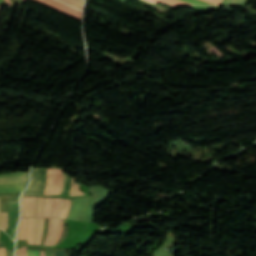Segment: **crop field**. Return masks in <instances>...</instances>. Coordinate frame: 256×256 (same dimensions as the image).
Segmentation results:
<instances>
[{
  "label": "crop field",
  "instance_id": "34",
  "mask_svg": "<svg viewBox=\"0 0 256 256\" xmlns=\"http://www.w3.org/2000/svg\"><path fill=\"white\" fill-rule=\"evenodd\" d=\"M33 256H39V251L33 250Z\"/></svg>",
  "mask_w": 256,
  "mask_h": 256
},
{
  "label": "crop field",
  "instance_id": "4",
  "mask_svg": "<svg viewBox=\"0 0 256 256\" xmlns=\"http://www.w3.org/2000/svg\"><path fill=\"white\" fill-rule=\"evenodd\" d=\"M28 173L16 172L0 175V182L27 181Z\"/></svg>",
  "mask_w": 256,
  "mask_h": 256
},
{
  "label": "crop field",
  "instance_id": "21",
  "mask_svg": "<svg viewBox=\"0 0 256 256\" xmlns=\"http://www.w3.org/2000/svg\"><path fill=\"white\" fill-rule=\"evenodd\" d=\"M61 229H62V220L59 219V223H58V233H57V235H56V237H55V240H54V242H53L52 245H55L56 241H57L58 238L60 237V235H61Z\"/></svg>",
  "mask_w": 256,
  "mask_h": 256
},
{
  "label": "crop field",
  "instance_id": "35",
  "mask_svg": "<svg viewBox=\"0 0 256 256\" xmlns=\"http://www.w3.org/2000/svg\"><path fill=\"white\" fill-rule=\"evenodd\" d=\"M44 201H45V199H43V201H42V210H41V215H40V217H42V214H43Z\"/></svg>",
  "mask_w": 256,
  "mask_h": 256
},
{
  "label": "crop field",
  "instance_id": "7",
  "mask_svg": "<svg viewBox=\"0 0 256 256\" xmlns=\"http://www.w3.org/2000/svg\"><path fill=\"white\" fill-rule=\"evenodd\" d=\"M46 182V169L40 168L38 186L35 194L43 195Z\"/></svg>",
  "mask_w": 256,
  "mask_h": 256
},
{
  "label": "crop field",
  "instance_id": "24",
  "mask_svg": "<svg viewBox=\"0 0 256 256\" xmlns=\"http://www.w3.org/2000/svg\"><path fill=\"white\" fill-rule=\"evenodd\" d=\"M38 218H34V244H36Z\"/></svg>",
  "mask_w": 256,
  "mask_h": 256
},
{
  "label": "crop field",
  "instance_id": "8",
  "mask_svg": "<svg viewBox=\"0 0 256 256\" xmlns=\"http://www.w3.org/2000/svg\"><path fill=\"white\" fill-rule=\"evenodd\" d=\"M17 238L27 239V218L21 219Z\"/></svg>",
  "mask_w": 256,
  "mask_h": 256
},
{
  "label": "crop field",
  "instance_id": "18",
  "mask_svg": "<svg viewBox=\"0 0 256 256\" xmlns=\"http://www.w3.org/2000/svg\"><path fill=\"white\" fill-rule=\"evenodd\" d=\"M52 224H53V219H50L49 221V227H48V232H47V236H46V240L44 244H47L50 237H51V233H52Z\"/></svg>",
  "mask_w": 256,
  "mask_h": 256
},
{
  "label": "crop field",
  "instance_id": "26",
  "mask_svg": "<svg viewBox=\"0 0 256 256\" xmlns=\"http://www.w3.org/2000/svg\"><path fill=\"white\" fill-rule=\"evenodd\" d=\"M184 1H187V2H190V3H193V4H205V5H211V4H208V3L203 2V1H200V0H184Z\"/></svg>",
  "mask_w": 256,
  "mask_h": 256
},
{
  "label": "crop field",
  "instance_id": "15",
  "mask_svg": "<svg viewBox=\"0 0 256 256\" xmlns=\"http://www.w3.org/2000/svg\"><path fill=\"white\" fill-rule=\"evenodd\" d=\"M154 3H160V2H165L173 5H180V4H190L181 0H149Z\"/></svg>",
  "mask_w": 256,
  "mask_h": 256
},
{
  "label": "crop field",
  "instance_id": "28",
  "mask_svg": "<svg viewBox=\"0 0 256 256\" xmlns=\"http://www.w3.org/2000/svg\"><path fill=\"white\" fill-rule=\"evenodd\" d=\"M204 1L215 4V5H219L221 0H204Z\"/></svg>",
  "mask_w": 256,
  "mask_h": 256
},
{
  "label": "crop field",
  "instance_id": "14",
  "mask_svg": "<svg viewBox=\"0 0 256 256\" xmlns=\"http://www.w3.org/2000/svg\"><path fill=\"white\" fill-rule=\"evenodd\" d=\"M81 192L79 190V184L74 183V178L72 177L70 196H75V195L83 194Z\"/></svg>",
  "mask_w": 256,
  "mask_h": 256
},
{
  "label": "crop field",
  "instance_id": "9",
  "mask_svg": "<svg viewBox=\"0 0 256 256\" xmlns=\"http://www.w3.org/2000/svg\"><path fill=\"white\" fill-rule=\"evenodd\" d=\"M37 176H38V168H33V170H32V181H31V184L28 187L26 193L34 194L36 183H37Z\"/></svg>",
  "mask_w": 256,
  "mask_h": 256
},
{
  "label": "crop field",
  "instance_id": "30",
  "mask_svg": "<svg viewBox=\"0 0 256 256\" xmlns=\"http://www.w3.org/2000/svg\"><path fill=\"white\" fill-rule=\"evenodd\" d=\"M0 256H5V248H0Z\"/></svg>",
  "mask_w": 256,
  "mask_h": 256
},
{
  "label": "crop field",
  "instance_id": "22",
  "mask_svg": "<svg viewBox=\"0 0 256 256\" xmlns=\"http://www.w3.org/2000/svg\"><path fill=\"white\" fill-rule=\"evenodd\" d=\"M58 207H59V199H55V202H54V209H53V215H52V217H54V218L57 217Z\"/></svg>",
  "mask_w": 256,
  "mask_h": 256
},
{
  "label": "crop field",
  "instance_id": "32",
  "mask_svg": "<svg viewBox=\"0 0 256 256\" xmlns=\"http://www.w3.org/2000/svg\"><path fill=\"white\" fill-rule=\"evenodd\" d=\"M231 2V0H224L223 4L222 5H229Z\"/></svg>",
  "mask_w": 256,
  "mask_h": 256
},
{
  "label": "crop field",
  "instance_id": "31",
  "mask_svg": "<svg viewBox=\"0 0 256 256\" xmlns=\"http://www.w3.org/2000/svg\"><path fill=\"white\" fill-rule=\"evenodd\" d=\"M38 202H39V198H37V203H36V208H35V214H34V217H36V214H37Z\"/></svg>",
  "mask_w": 256,
  "mask_h": 256
},
{
  "label": "crop field",
  "instance_id": "36",
  "mask_svg": "<svg viewBox=\"0 0 256 256\" xmlns=\"http://www.w3.org/2000/svg\"><path fill=\"white\" fill-rule=\"evenodd\" d=\"M61 204H62V199H60V207H59V211H58V217H59V214H60V211H61Z\"/></svg>",
  "mask_w": 256,
  "mask_h": 256
},
{
  "label": "crop field",
  "instance_id": "37",
  "mask_svg": "<svg viewBox=\"0 0 256 256\" xmlns=\"http://www.w3.org/2000/svg\"><path fill=\"white\" fill-rule=\"evenodd\" d=\"M27 256H32V250H27Z\"/></svg>",
  "mask_w": 256,
  "mask_h": 256
},
{
  "label": "crop field",
  "instance_id": "29",
  "mask_svg": "<svg viewBox=\"0 0 256 256\" xmlns=\"http://www.w3.org/2000/svg\"><path fill=\"white\" fill-rule=\"evenodd\" d=\"M26 247L21 249V256H26Z\"/></svg>",
  "mask_w": 256,
  "mask_h": 256
},
{
  "label": "crop field",
  "instance_id": "38",
  "mask_svg": "<svg viewBox=\"0 0 256 256\" xmlns=\"http://www.w3.org/2000/svg\"><path fill=\"white\" fill-rule=\"evenodd\" d=\"M16 256H20V249L16 250Z\"/></svg>",
  "mask_w": 256,
  "mask_h": 256
},
{
  "label": "crop field",
  "instance_id": "20",
  "mask_svg": "<svg viewBox=\"0 0 256 256\" xmlns=\"http://www.w3.org/2000/svg\"><path fill=\"white\" fill-rule=\"evenodd\" d=\"M49 219L44 220V226H43V236H42V244L44 243L46 232H47V226H48Z\"/></svg>",
  "mask_w": 256,
  "mask_h": 256
},
{
  "label": "crop field",
  "instance_id": "27",
  "mask_svg": "<svg viewBox=\"0 0 256 256\" xmlns=\"http://www.w3.org/2000/svg\"><path fill=\"white\" fill-rule=\"evenodd\" d=\"M245 0H233L231 4L243 5Z\"/></svg>",
  "mask_w": 256,
  "mask_h": 256
},
{
  "label": "crop field",
  "instance_id": "1",
  "mask_svg": "<svg viewBox=\"0 0 256 256\" xmlns=\"http://www.w3.org/2000/svg\"><path fill=\"white\" fill-rule=\"evenodd\" d=\"M62 187V170L48 169L47 186L44 195L60 194Z\"/></svg>",
  "mask_w": 256,
  "mask_h": 256
},
{
  "label": "crop field",
  "instance_id": "2",
  "mask_svg": "<svg viewBox=\"0 0 256 256\" xmlns=\"http://www.w3.org/2000/svg\"><path fill=\"white\" fill-rule=\"evenodd\" d=\"M81 21L82 12L56 0H33Z\"/></svg>",
  "mask_w": 256,
  "mask_h": 256
},
{
  "label": "crop field",
  "instance_id": "16",
  "mask_svg": "<svg viewBox=\"0 0 256 256\" xmlns=\"http://www.w3.org/2000/svg\"><path fill=\"white\" fill-rule=\"evenodd\" d=\"M32 227H33V218H29V224H28V243L29 244H33Z\"/></svg>",
  "mask_w": 256,
  "mask_h": 256
},
{
  "label": "crop field",
  "instance_id": "25",
  "mask_svg": "<svg viewBox=\"0 0 256 256\" xmlns=\"http://www.w3.org/2000/svg\"><path fill=\"white\" fill-rule=\"evenodd\" d=\"M6 5L20 4L23 0H4Z\"/></svg>",
  "mask_w": 256,
  "mask_h": 256
},
{
  "label": "crop field",
  "instance_id": "17",
  "mask_svg": "<svg viewBox=\"0 0 256 256\" xmlns=\"http://www.w3.org/2000/svg\"><path fill=\"white\" fill-rule=\"evenodd\" d=\"M8 213L1 212L0 228L5 230L7 228Z\"/></svg>",
  "mask_w": 256,
  "mask_h": 256
},
{
  "label": "crop field",
  "instance_id": "33",
  "mask_svg": "<svg viewBox=\"0 0 256 256\" xmlns=\"http://www.w3.org/2000/svg\"><path fill=\"white\" fill-rule=\"evenodd\" d=\"M41 201H42V198H40V206H39V209H38L37 217H39V214H40V210H41Z\"/></svg>",
  "mask_w": 256,
  "mask_h": 256
},
{
  "label": "crop field",
  "instance_id": "11",
  "mask_svg": "<svg viewBox=\"0 0 256 256\" xmlns=\"http://www.w3.org/2000/svg\"><path fill=\"white\" fill-rule=\"evenodd\" d=\"M69 192H70V177L64 174L63 187H62L61 194L69 195Z\"/></svg>",
  "mask_w": 256,
  "mask_h": 256
},
{
  "label": "crop field",
  "instance_id": "13",
  "mask_svg": "<svg viewBox=\"0 0 256 256\" xmlns=\"http://www.w3.org/2000/svg\"><path fill=\"white\" fill-rule=\"evenodd\" d=\"M80 10L83 8V0H60Z\"/></svg>",
  "mask_w": 256,
  "mask_h": 256
},
{
  "label": "crop field",
  "instance_id": "23",
  "mask_svg": "<svg viewBox=\"0 0 256 256\" xmlns=\"http://www.w3.org/2000/svg\"><path fill=\"white\" fill-rule=\"evenodd\" d=\"M57 223H58V219H55V222H54V228H53V233H52V237L50 239V242H49V245H51L55 235H56V232H57Z\"/></svg>",
  "mask_w": 256,
  "mask_h": 256
},
{
  "label": "crop field",
  "instance_id": "39",
  "mask_svg": "<svg viewBox=\"0 0 256 256\" xmlns=\"http://www.w3.org/2000/svg\"><path fill=\"white\" fill-rule=\"evenodd\" d=\"M40 256H45V251H40Z\"/></svg>",
  "mask_w": 256,
  "mask_h": 256
},
{
  "label": "crop field",
  "instance_id": "19",
  "mask_svg": "<svg viewBox=\"0 0 256 256\" xmlns=\"http://www.w3.org/2000/svg\"><path fill=\"white\" fill-rule=\"evenodd\" d=\"M43 220L44 218H39L38 244L41 243Z\"/></svg>",
  "mask_w": 256,
  "mask_h": 256
},
{
  "label": "crop field",
  "instance_id": "6",
  "mask_svg": "<svg viewBox=\"0 0 256 256\" xmlns=\"http://www.w3.org/2000/svg\"><path fill=\"white\" fill-rule=\"evenodd\" d=\"M26 182L0 184V192H21Z\"/></svg>",
  "mask_w": 256,
  "mask_h": 256
},
{
  "label": "crop field",
  "instance_id": "12",
  "mask_svg": "<svg viewBox=\"0 0 256 256\" xmlns=\"http://www.w3.org/2000/svg\"><path fill=\"white\" fill-rule=\"evenodd\" d=\"M70 205H71L70 200L63 199L62 212H61L60 218H66L67 217V215L69 213Z\"/></svg>",
  "mask_w": 256,
  "mask_h": 256
},
{
  "label": "crop field",
  "instance_id": "5",
  "mask_svg": "<svg viewBox=\"0 0 256 256\" xmlns=\"http://www.w3.org/2000/svg\"><path fill=\"white\" fill-rule=\"evenodd\" d=\"M9 221L8 228H15L18 215V202H8Z\"/></svg>",
  "mask_w": 256,
  "mask_h": 256
},
{
  "label": "crop field",
  "instance_id": "3",
  "mask_svg": "<svg viewBox=\"0 0 256 256\" xmlns=\"http://www.w3.org/2000/svg\"><path fill=\"white\" fill-rule=\"evenodd\" d=\"M36 198H22V217H33Z\"/></svg>",
  "mask_w": 256,
  "mask_h": 256
},
{
  "label": "crop field",
  "instance_id": "10",
  "mask_svg": "<svg viewBox=\"0 0 256 256\" xmlns=\"http://www.w3.org/2000/svg\"><path fill=\"white\" fill-rule=\"evenodd\" d=\"M54 199H46L43 217H51Z\"/></svg>",
  "mask_w": 256,
  "mask_h": 256
}]
</instances>
